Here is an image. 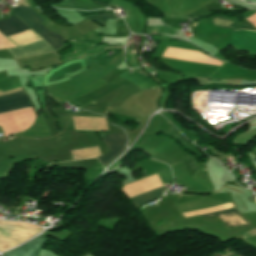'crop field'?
I'll list each match as a JSON object with an SVG mask.
<instances>
[{
  "label": "crop field",
  "mask_w": 256,
  "mask_h": 256,
  "mask_svg": "<svg viewBox=\"0 0 256 256\" xmlns=\"http://www.w3.org/2000/svg\"><path fill=\"white\" fill-rule=\"evenodd\" d=\"M74 160L77 159H84L86 157H94V156H101L99 147H90L78 150L70 151Z\"/></svg>",
  "instance_id": "5a996713"
},
{
  "label": "crop field",
  "mask_w": 256,
  "mask_h": 256,
  "mask_svg": "<svg viewBox=\"0 0 256 256\" xmlns=\"http://www.w3.org/2000/svg\"><path fill=\"white\" fill-rule=\"evenodd\" d=\"M72 117L76 130L108 131L105 117Z\"/></svg>",
  "instance_id": "e52e79f7"
},
{
  "label": "crop field",
  "mask_w": 256,
  "mask_h": 256,
  "mask_svg": "<svg viewBox=\"0 0 256 256\" xmlns=\"http://www.w3.org/2000/svg\"><path fill=\"white\" fill-rule=\"evenodd\" d=\"M105 145L111 152L98 157L99 161L105 167L110 161H112L119 153L126 149L125 144L127 143L123 134H109L106 138L102 139Z\"/></svg>",
  "instance_id": "412701ff"
},
{
  "label": "crop field",
  "mask_w": 256,
  "mask_h": 256,
  "mask_svg": "<svg viewBox=\"0 0 256 256\" xmlns=\"http://www.w3.org/2000/svg\"><path fill=\"white\" fill-rule=\"evenodd\" d=\"M44 234H41L31 242L5 254L4 256H36V252L44 243Z\"/></svg>",
  "instance_id": "d8731c3e"
},
{
  "label": "crop field",
  "mask_w": 256,
  "mask_h": 256,
  "mask_svg": "<svg viewBox=\"0 0 256 256\" xmlns=\"http://www.w3.org/2000/svg\"><path fill=\"white\" fill-rule=\"evenodd\" d=\"M163 191H164V188H160V189H157V190H154L152 192H149V193H146L144 195H141L139 197H136V198H133L131 199L134 207L138 206V205H141L143 203H146L148 201H151L153 199H156V198H159L163 195Z\"/></svg>",
  "instance_id": "3316defc"
},
{
  "label": "crop field",
  "mask_w": 256,
  "mask_h": 256,
  "mask_svg": "<svg viewBox=\"0 0 256 256\" xmlns=\"http://www.w3.org/2000/svg\"><path fill=\"white\" fill-rule=\"evenodd\" d=\"M88 19H92L96 22H99L103 25H106V21L107 19H112L115 18V16L112 13H106V14H100V15H88V16H84Z\"/></svg>",
  "instance_id": "28ad6ade"
},
{
  "label": "crop field",
  "mask_w": 256,
  "mask_h": 256,
  "mask_svg": "<svg viewBox=\"0 0 256 256\" xmlns=\"http://www.w3.org/2000/svg\"><path fill=\"white\" fill-rule=\"evenodd\" d=\"M29 29L16 15L5 19V21H0V32L6 37ZM8 51L15 59H19L54 51V49L42 40L20 48L8 49Z\"/></svg>",
  "instance_id": "8a807250"
},
{
  "label": "crop field",
  "mask_w": 256,
  "mask_h": 256,
  "mask_svg": "<svg viewBox=\"0 0 256 256\" xmlns=\"http://www.w3.org/2000/svg\"><path fill=\"white\" fill-rule=\"evenodd\" d=\"M17 11L15 7H11L10 9L31 29H33L36 33H38L48 44H50L55 50L60 48L64 42L59 35L51 33L46 28H44L40 23L44 20L39 17L34 11L25 6L16 5Z\"/></svg>",
  "instance_id": "34b2d1b8"
},
{
  "label": "crop field",
  "mask_w": 256,
  "mask_h": 256,
  "mask_svg": "<svg viewBox=\"0 0 256 256\" xmlns=\"http://www.w3.org/2000/svg\"><path fill=\"white\" fill-rule=\"evenodd\" d=\"M205 217H219L227 227H239L250 225L236 210L235 207L204 214Z\"/></svg>",
  "instance_id": "dd49c442"
},
{
  "label": "crop field",
  "mask_w": 256,
  "mask_h": 256,
  "mask_svg": "<svg viewBox=\"0 0 256 256\" xmlns=\"http://www.w3.org/2000/svg\"><path fill=\"white\" fill-rule=\"evenodd\" d=\"M9 104L21 132L35 121V112L23 90L1 95L0 106Z\"/></svg>",
  "instance_id": "ac0d7876"
},
{
  "label": "crop field",
  "mask_w": 256,
  "mask_h": 256,
  "mask_svg": "<svg viewBox=\"0 0 256 256\" xmlns=\"http://www.w3.org/2000/svg\"><path fill=\"white\" fill-rule=\"evenodd\" d=\"M231 45L237 50H248L250 54H256V32L246 30L233 32Z\"/></svg>",
  "instance_id": "f4fd0767"
}]
</instances>
